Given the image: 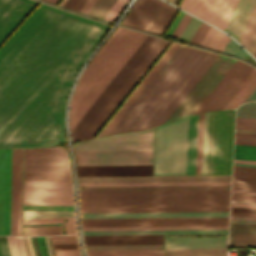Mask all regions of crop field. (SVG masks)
I'll return each instance as SVG.
<instances>
[{
  "label": "crop field",
  "mask_w": 256,
  "mask_h": 256,
  "mask_svg": "<svg viewBox=\"0 0 256 256\" xmlns=\"http://www.w3.org/2000/svg\"><path fill=\"white\" fill-rule=\"evenodd\" d=\"M108 24L40 3L0 47V148L65 141L64 105Z\"/></svg>",
  "instance_id": "obj_1"
},
{
  "label": "crop field",
  "mask_w": 256,
  "mask_h": 256,
  "mask_svg": "<svg viewBox=\"0 0 256 256\" xmlns=\"http://www.w3.org/2000/svg\"><path fill=\"white\" fill-rule=\"evenodd\" d=\"M217 56L181 45L110 134L163 124Z\"/></svg>",
  "instance_id": "obj_2"
},
{
  "label": "crop field",
  "mask_w": 256,
  "mask_h": 256,
  "mask_svg": "<svg viewBox=\"0 0 256 256\" xmlns=\"http://www.w3.org/2000/svg\"><path fill=\"white\" fill-rule=\"evenodd\" d=\"M146 36L132 30L116 28L85 68L75 86L69 114L71 130Z\"/></svg>",
  "instance_id": "obj_3"
},
{
  "label": "crop field",
  "mask_w": 256,
  "mask_h": 256,
  "mask_svg": "<svg viewBox=\"0 0 256 256\" xmlns=\"http://www.w3.org/2000/svg\"><path fill=\"white\" fill-rule=\"evenodd\" d=\"M168 43L158 37L147 36L73 128L71 131L72 141L94 137Z\"/></svg>",
  "instance_id": "obj_4"
},
{
  "label": "crop field",
  "mask_w": 256,
  "mask_h": 256,
  "mask_svg": "<svg viewBox=\"0 0 256 256\" xmlns=\"http://www.w3.org/2000/svg\"><path fill=\"white\" fill-rule=\"evenodd\" d=\"M81 208L229 206L230 190L79 192Z\"/></svg>",
  "instance_id": "obj_5"
},
{
  "label": "crop field",
  "mask_w": 256,
  "mask_h": 256,
  "mask_svg": "<svg viewBox=\"0 0 256 256\" xmlns=\"http://www.w3.org/2000/svg\"><path fill=\"white\" fill-rule=\"evenodd\" d=\"M188 118L157 127L154 174H184Z\"/></svg>",
  "instance_id": "obj_6"
},
{
  "label": "crop field",
  "mask_w": 256,
  "mask_h": 256,
  "mask_svg": "<svg viewBox=\"0 0 256 256\" xmlns=\"http://www.w3.org/2000/svg\"><path fill=\"white\" fill-rule=\"evenodd\" d=\"M234 109L210 113L206 174H231Z\"/></svg>",
  "instance_id": "obj_7"
},
{
  "label": "crop field",
  "mask_w": 256,
  "mask_h": 256,
  "mask_svg": "<svg viewBox=\"0 0 256 256\" xmlns=\"http://www.w3.org/2000/svg\"><path fill=\"white\" fill-rule=\"evenodd\" d=\"M176 12L159 0H136L121 25L162 35Z\"/></svg>",
  "instance_id": "obj_8"
},
{
  "label": "crop field",
  "mask_w": 256,
  "mask_h": 256,
  "mask_svg": "<svg viewBox=\"0 0 256 256\" xmlns=\"http://www.w3.org/2000/svg\"><path fill=\"white\" fill-rule=\"evenodd\" d=\"M234 61L219 55L165 123L192 115Z\"/></svg>",
  "instance_id": "obj_9"
},
{
  "label": "crop field",
  "mask_w": 256,
  "mask_h": 256,
  "mask_svg": "<svg viewBox=\"0 0 256 256\" xmlns=\"http://www.w3.org/2000/svg\"><path fill=\"white\" fill-rule=\"evenodd\" d=\"M23 205H73L71 182L24 181Z\"/></svg>",
  "instance_id": "obj_10"
},
{
  "label": "crop field",
  "mask_w": 256,
  "mask_h": 256,
  "mask_svg": "<svg viewBox=\"0 0 256 256\" xmlns=\"http://www.w3.org/2000/svg\"><path fill=\"white\" fill-rule=\"evenodd\" d=\"M253 69L236 60L194 114L222 109Z\"/></svg>",
  "instance_id": "obj_11"
},
{
  "label": "crop field",
  "mask_w": 256,
  "mask_h": 256,
  "mask_svg": "<svg viewBox=\"0 0 256 256\" xmlns=\"http://www.w3.org/2000/svg\"><path fill=\"white\" fill-rule=\"evenodd\" d=\"M77 165H152L153 150L75 151Z\"/></svg>",
  "instance_id": "obj_12"
},
{
  "label": "crop field",
  "mask_w": 256,
  "mask_h": 256,
  "mask_svg": "<svg viewBox=\"0 0 256 256\" xmlns=\"http://www.w3.org/2000/svg\"><path fill=\"white\" fill-rule=\"evenodd\" d=\"M228 225V217L82 219V226Z\"/></svg>",
  "instance_id": "obj_13"
},
{
  "label": "crop field",
  "mask_w": 256,
  "mask_h": 256,
  "mask_svg": "<svg viewBox=\"0 0 256 256\" xmlns=\"http://www.w3.org/2000/svg\"><path fill=\"white\" fill-rule=\"evenodd\" d=\"M155 128L74 144L75 150L153 149Z\"/></svg>",
  "instance_id": "obj_14"
},
{
  "label": "crop field",
  "mask_w": 256,
  "mask_h": 256,
  "mask_svg": "<svg viewBox=\"0 0 256 256\" xmlns=\"http://www.w3.org/2000/svg\"><path fill=\"white\" fill-rule=\"evenodd\" d=\"M237 0H182L179 7L224 29Z\"/></svg>",
  "instance_id": "obj_15"
},
{
  "label": "crop field",
  "mask_w": 256,
  "mask_h": 256,
  "mask_svg": "<svg viewBox=\"0 0 256 256\" xmlns=\"http://www.w3.org/2000/svg\"><path fill=\"white\" fill-rule=\"evenodd\" d=\"M22 149H12L10 235H21Z\"/></svg>",
  "instance_id": "obj_16"
},
{
  "label": "crop field",
  "mask_w": 256,
  "mask_h": 256,
  "mask_svg": "<svg viewBox=\"0 0 256 256\" xmlns=\"http://www.w3.org/2000/svg\"><path fill=\"white\" fill-rule=\"evenodd\" d=\"M179 46L180 44L178 43L171 44V46L162 55V57L158 60V62L154 65V67L149 71V73L145 76V78L141 81V83L136 87V89L132 92V94L128 97V99L123 103V105L119 108V110L115 113V115L110 119V121L106 124V126L102 129V131L97 135V137H101L109 134V132L114 128V126L118 123V121L122 118V116L127 112V110L135 102V100L140 96V94L144 91V89L148 86V84L153 80V78L157 75V73L161 70V68L166 64V62L170 59V57L174 54V52L179 48Z\"/></svg>",
  "instance_id": "obj_17"
},
{
  "label": "crop field",
  "mask_w": 256,
  "mask_h": 256,
  "mask_svg": "<svg viewBox=\"0 0 256 256\" xmlns=\"http://www.w3.org/2000/svg\"><path fill=\"white\" fill-rule=\"evenodd\" d=\"M36 4L32 0H0V44Z\"/></svg>",
  "instance_id": "obj_18"
},
{
  "label": "crop field",
  "mask_w": 256,
  "mask_h": 256,
  "mask_svg": "<svg viewBox=\"0 0 256 256\" xmlns=\"http://www.w3.org/2000/svg\"><path fill=\"white\" fill-rule=\"evenodd\" d=\"M231 175L78 177V182L230 180Z\"/></svg>",
  "instance_id": "obj_19"
},
{
  "label": "crop field",
  "mask_w": 256,
  "mask_h": 256,
  "mask_svg": "<svg viewBox=\"0 0 256 256\" xmlns=\"http://www.w3.org/2000/svg\"><path fill=\"white\" fill-rule=\"evenodd\" d=\"M78 176L152 175V166H77Z\"/></svg>",
  "instance_id": "obj_20"
},
{
  "label": "crop field",
  "mask_w": 256,
  "mask_h": 256,
  "mask_svg": "<svg viewBox=\"0 0 256 256\" xmlns=\"http://www.w3.org/2000/svg\"><path fill=\"white\" fill-rule=\"evenodd\" d=\"M24 180L70 181L67 165H24Z\"/></svg>",
  "instance_id": "obj_21"
},
{
  "label": "crop field",
  "mask_w": 256,
  "mask_h": 256,
  "mask_svg": "<svg viewBox=\"0 0 256 256\" xmlns=\"http://www.w3.org/2000/svg\"><path fill=\"white\" fill-rule=\"evenodd\" d=\"M85 244L163 243V235L83 236Z\"/></svg>",
  "instance_id": "obj_22"
},
{
  "label": "crop field",
  "mask_w": 256,
  "mask_h": 256,
  "mask_svg": "<svg viewBox=\"0 0 256 256\" xmlns=\"http://www.w3.org/2000/svg\"><path fill=\"white\" fill-rule=\"evenodd\" d=\"M227 238L165 239V249L226 248Z\"/></svg>",
  "instance_id": "obj_23"
},
{
  "label": "crop field",
  "mask_w": 256,
  "mask_h": 256,
  "mask_svg": "<svg viewBox=\"0 0 256 256\" xmlns=\"http://www.w3.org/2000/svg\"><path fill=\"white\" fill-rule=\"evenodd\" d=\"M256 0H239L233 15L224 31L238 40Z\"/></svg>",
  "instance_id": "obj_24"
},
{
  "label": "crop field",
  "mask_w": 256,
  "mask_h": 256,
  "mask_svg": "<svg viewBox=\"0 0 256 256\" xmlns=\"http://www.w3.org/2000/svg\"><path fill=\"white\" fill-rule=\"evenodd\" d=\"M229 207L81 209V213L228 211Z\"/></svg>",
  "instance_id": "obj_25"
},
{
  "label": "crop field",
  "mask_w": 256,
  "mask_h": 256,
  "mask_svg": "<svg viewBox=\"0 0 256 256\" xmlns=\"http://www.w3.org/2000/svg\"><path fill=\"white\" fill-rule=\"evenodd\" d=\"M82 218L228 216V212L81 214Z\"/></svg>",
  "instance_id": "obj_26"
},
{
  "label": "crop field",
  "mask_w": 256,
  "mask_h": 256,
  "mask_svg": "<svg viewBox=\"0 0 256 256\" xmlns=\"http://www.w3.org/2000/svg\"><path fill=\"white\" fill-rule=\"evenodd\" d=\"M232 189L256 191V168L233 166Z\"/></svg>",
  "instance_id": "obj_27"
},
{
  "label": "crop field",
  "mask_w": 256,
  "mask_h": 256,
  "mask_svg": "<svg viewBox=\"0 0 256 256\" xmlns=\"http://www.w3.org/2000/svg\"><path fill=\"white\" fill-rule=\"evenodd\" d=\"M198 115L189 118L185 174H195Z\"/></svg>",
  "instance_id": "obj_28"
},
{
  "label": "crop field",
  "mask_w": 256,
  "mask_h": 256,
  "mask_svg": "<svg viewBox=\"0 0 256 256\" xmlns=\"http://www.w3.org/2000/svg\"><path fill=\"white\" fill-rule=\"evenodd\" d=\"M230 185V181L79 183V186Z\"/></svg>",
  "instance_id": "obj_29"
},
{
  "label": "crop field",
  "mask_w": 256,
  "mask_h": 256,
  "mask_svg": "<svg viewBox=\"0 0 256 256\" xmlns=\"http://www.w3.org/2000/svg\"><path fill=\"white\" fill-rule=\"evenodd\" d=\"M24 160L67 161L63 147L24 149Z\"/></svg>",
  "instance_id": "obj_30"
},
{
  "label": "crop field",
  "mask_w": 256,
  "mask_h": 256,
  "mask_svg": "<svg viewBox=\"0 0 256 256\" xmlns=\"http://www.w3.org/2000/svg\"><path fill=\"white\" fill-rule=\"evenodd\" d=\"M227 233V230L83 231V235Z\"/></svg>",
  "instance_id": "obj_31"
},
{
  "label": "crop field",
  "mask_w": 256,
  "mask_h": 256,
  "mask_svg": "<svg viewBox=\"0 0 256 256\" xmlns=\"http://www.w3.org/2000/svg\"><path fill=\"white\" fill-rule=\"evenodd\" d=\"M225 189V186L84 187V191Z\"/></svg>",
  "instance_id": "obj_32"
},
{
  "label": "crop field",
  "mask_w": 256,
  "mask_h": 256,
  "mask_svg": "<svg viewBox=\"0 0 256 256\" xmlns=\"http://www.w3.org/2000/svg\"><path fill=\"white\" fill-rule=\"evenodd\" d=\"M11 149H5L4 234L9 235Z\"/></svg>",
  "instance_id": "obj_33"
},
{
  "label": "crop field",
  "mask_w": 256,
  "mask_h": 256,
  "mask_svg": "<svg viewBox=\"0 0 256 256\" xmlns=\"http://www.w3.org/2000/svg\"><path fill=\"white\" fill-rule=\"evenodd\" d=\"M251 54L256 48V4L238 40Z\"/></svg>",
  "instance_id": "obj_34"
},
{
  "label": "crop field",
  "mask_w": 256,
  "mask_h": 256,
  "mask_svg": "<svg viewBox=\"0 0 256 256\" xmlns=\"http://www.w3.org/2000/svg\"><path fill=\"white\" fill-rule=\"evenodd\" d=\"M256 85V70L249 75V77L245 80V82L241 85V87L236 91V93L232 96V98L228 101V103L224 106L225 108H236L240 105L247 95L251 92V90Z\"/></svg>",
  "instance_id": "obj_35"
},
{
  "label": "crop field",
  "mask_w": 256,
  "mask_h": 256,
  "mask_svg": "<svg viewBox=\"0 0 256 256\" xmlns=\"http://www.w3.org/2000/svg\"><path fill=\"white\" fill-rule=\"evenodd\" d=\"M228 226L82 227L83 230L227 229Z\"/></svg>",
  "instance_id": "obj_36"
},
{
  "label": "crop field",
  "mask_w": 256,
  "mask_h": 256,
  "mask_svg": "<svg viewBox=\"0 0 256 256\" xmlns=\"http://www.w3.org/2000/svg\"><path fill=\"white\" fill-rule=\"evenodd\" d=\"M88 256H163L158 250L87 251Z\"/></svg>",
  "instance_id": "obj_37"
},
{
  "label": "crop field",
  "mask_w": 256,
  "mask_h": 256,
  "mask_svg": "<svg viewBox=\"0 0 256 256\" xmlns=\"http://www.w3.org/2000/svg\"><path fill=\"white\" fill-rule=\"evenodd\" d=\"M229 39L225 34L210 27L200 45L222 51Z\"/></svg>",
  "instance_id": "obj_38"
},
{
  "label": "crop field",
  "mask_w": 256,
  "mask_h": 256,
  "mask_svg": "<svg viewBox=\"0 0 256 256\" xmlns=\"http://www.w3.org/2000/svg\"><path fill=\"white\" fill-rule=\"evenodd\" d=\"M165 256H226V249L165 250Z\"/></svg>",
  "instance_id": "obj_39"
},
{
  "label": "crop field",
  "mask_w": 256,
  "mask_h": 256,
  "mask_svg": "<svg viewBox=\"0 0 256 256\" xmlns=\"http://www.w3.org/2000/svg\"><path fill=\"white\" fill-rule=\"evenodd\" d=\"M87 250L163 249L161 245H85Z\"/></svg>",
  "instance_id": "obj_40"
},
{
  "label": "crop field",
  "mask_w": 256,
  "mask_h": 256,
  "mask_svg": "<svg viewBox=\"0 0 256 256\" xmlns=\"http://www.w3.org/2000/svg\"><path fill=\"white\" fill-rule=\"evenodd\" d=\"M61 234V226L23 228V236Z\"/></svg>",
  "instance_id": "obj_41"
},
{
  "label": "crop field",
  "mask_w": 256,
  "mask_h": 256,
  "mask_svg": "<svg viewBox=\"0 0 256 256\" xmlns=\"http://www.w3.org/2000/svg\"><path fill=\"white\" fill-rule=\"evenodd\" d=\"M116 0H97L91 10L88 12L89 15L104 18L110 8L113 6Z\"/></svg>",
  "instance_id": "obj_42"
},
{
  "label": "crop field",
  "mask_w": 256,
  "mask_h": 256,
  "mask_svg": "<svg viewBox=\"0 0 256 256\" xmlns=\"http://www.w3.org/2000/svg\"><path fill=\"white\" fill-rule=\"evenodd\" d=\"M234 159L256 161V146L235 145Z\"/></svg>",
  "instance_id": "obj_43"
},
{
  "label": "crop field",
  "mask_w": 256,
  "mask_h": 256,
  "mask_svg": "<svg viewBox=\"0 0 256 256\" xmlns=\"http://www.w3.org/2000/svg\"><path fill=\"white\" fill-rule=\"evenodd\" d=\"M73 216V211H23V218Z\"/></svg>",
  "instance_id": "obj_44"
},
{
  "label": "crop field",
  "mask_w": 256,
  "mask_h": 256,
  "mask_svg": "<svg viewBox=\"0 0 256 256\" xmlns=\"http://www.w3.org/2000/svg\"><path fill=\"white\" fill-rule=\"evenodd\" d=\"M4 149H0V234H3Z\"/></svg>",
  "instance_id": "obj_45"
},
{
  "label": "crop field",
  "mask_w": 256,
  "mask_h": 256,
  "mask_svg": "<svg viewBox=\"0 0 256 256\" xmlns=\"http://www.w3.org/2000/svg\"><path fill=\"white\" fill-rule=\"evenodd\" d=\"M204 113L199 115L196 174H200Z\"/></svg>",
  "instance_id": "obj_46"
},
{
  "label": "crop field",
  "mask_w": 256,
  "mask_h": 256,
  "mask_svg": "<svg viewBox=\"0 0 256 256\" xmlns=\"http://www.w3.org/2000/svg\"><path fill=\"white\" fill-rule=\"evenodd\" d=\"M233 246H256V236L234 234Z\"/></svg>",
  "instance_id": "obj_47"
},
{
  "label": "crop field",
  "mask_w": 256,
  "mask_h": 256,
  "mask_svg": "<svg viewBox=\"0 0 256 256\" xmlns=\"http://www.w3.org/2000/svg\"><path fill=\"white\" fill-rule=\"evenodd\" d=\"M200 22L201 21H199V20H197V19L192 17V19L190 20V22L186 26L185 30L183 31V33L179 37V40H183V41L189 42V40L192 37V35L194 34L195 30L199 26Z\"/></svg>",
  "instance_id": "obj_48"
},
{
  "label": "crop field",
  "mask_w": 256,
  "mask_h": 256,
  "mask_svg": "<svg viewBox=\"0 0 256 256\" xmlns=\"http://www.w3.org/2000/svg\"><path fill=\"white\" fill-rule=\"evenodd\" d=\"M209 113H205L201 174H205Z\"/></svg>",
  "instance_id": "obj_49"
},
{
  "label": "crop field",
  "mask_w": 256,
  "mask_h": 256,
  "mask_svg": "<svg viewBox=\"0 0 256 256\" xmlns=\"http://www.w3.org/2000/svg\"><path fill=\"white\" fill-rule=\"evenodd\" d=\"M129 0H117L108 14L105 16L104 20L113 22L117 15L123 10V8L128 4ZM119 16V15H118Z\"/></svg>",
  "instance_id": "obj_50"
},
{
  "label": "crop field",
  "mask_w": 256,
  "mask_h": 256,
  "mask_svg": "<svg viewBox=\"0 0 256 256\" xmlns=\"http://www.w3.org/2000/svg\"><path fill=\"white\" fill-rule=\"evenodd\" d=\"M236 116L256 118V103L242 104L237 108Z\"/></svg>",
  "instance_id": "obj_51"
},
{
  "label": "crop field",
  "mask_w": 256,
  "mask_h": 256,
  "mask_svg": "<svg viewBox=\"0 0 256 256\" xmlns=\"http://www.w3.org/2000/svg\"><path fill=\"white\" fill-rule=\"evenodd\" d=\"M230 232L256 234V225L230 223Z\"/></svg>",
  "instance_id": "obj_52"
},
{
  "label": "crop field",
  "mask_w": 256,
  "mask_h": 256,
  "mask_svg": "<svg viewBox=\"0 0 256 256\" xmlns=\"http://www.w3.org/2000/svg\"><path fill=\"white\" fill-rule=\"evenodd\" d=\"M224 52L236 55L242 59L247 55L234 41L230 39L228 44L223 49Z\"/></svg>",
  "instance_id": "obj_53"
},
{
  "label": "crop field",
  "mask_w": 256,
  "mask_h": 256,
  "mask_svg": "<svg viewBox=\"0 0 256 256\" xmlns=\"http://www.w3.org/2000/svg\"><path fill=\"white\" fill-rule=\"evenodd\" d=\"M236 128L256 129V119L236 117Z\"/></svg>",
  "instance_id": "obj_54"
},
{
  "label": "crop field",
  "mask_w": 256,
  "mask_h": 256,
  "mask_svg": "<svg viewBox=\"0 0 256 256\" xmlns=\"http://www.w3.org/2000/svg\"><path fill=\"white\" fill-rule=\"evenodd\" d=\"M190 19H191V16L184 13L183 17L181 18L178 25L176 26L173 33L171 34V37L178 39V37L180 36V34L184 30L185 26L187 25Z\"/></svg>",
  "instance_id": "obj_55"
},
{
  "label": "crop field",
  "mask_w": 256,
  "mask_h": 256,
  "mask_svg": "<svg viewBox=\"0 0 256 256\" xmlns=\"http://www.w3.org/2000/svg\"><path fill=\"white\" fill-rule=\"evenodd\" d=\"M210 26L206 25L205 23L201 22L200 26L196 30L195 34L191 38L190 42L191 43H196L199 44L207 30L209 29Z\"/></svg>",
  "instance_id": "obj_56"
},
{
  "label": "crop field",
  "mask_w": 256,
  "mask_h": 256,
  "mask_svg": "<svg viewBox=\"0 0 256 256\" xmlns=\"http://www.w3.org/2000/svg\"><path fill=\"white\" fill-rule=\"evenodd\" d=\"M63 218L23 219V224L62 223Z\"/></svg>",
  "instance_id": "obj_57"
},
{
  "label": "crop field",
  "mask_w": 256,
  "mask_h": 256,
  "mask_svg": "<svg viewBox=\"0 0 256 256\" xmlns=\"http://www.w3.org/2000/svg\"><path fill=\"white\" fill-rule=\"evenodd\" d=\"M85 1L86 0H66L63 7L79 11Z\"/></svg>",
  "instance_id": "obj_58"
},
{
  "label": "crop field",
  "mask_w": 256,
  "mask_h": 256,
  "mask_svg": "<svg viewBox=\"0 0 256 256\" xmlns=\"http://www.w3.org/2000/svg\"><path fill=\"white\" fill-rule=\"evenodd\" d=\"M55 256H80L78 249L53 250Z\"/></svg>",
  "instance_id": "obj_59"
},
{
  "label": "crop field",
  "mask_w": 256,
  "mask_h": 256,
  "mask_svg": "<svg viewBox=\"0 0 256 256\" xmlns=\"http://www.w3.org/2000/svg\"><path fill=\"white\" fill-rule=\"evenodd\" d=\"M51 244L77 243L76 237L50 238Z\"/></svg>",
  "instance_id": "obj_60"
},
{
  "label": "crop field",
  "mask_w": 256,
  "mask_h": 256,
  "mask_svg": "<svg viewBox=\"0 0 256 256\" xmlns=\"http://www.w3.org/2000/svg\"><path fill=\"white\" fill-rule=\"evenodd\" d=\"M235 141L256 142V135L237 134L235 133Z\"/></svg>",
  "instance_id": "obj_61"
},
{
  "label": "crop field",
  "mask_w": 256,
  "mask_h": 256,
  "mask_svg": "<svg viewBox=\"0 0 256 256\" xmlns=\"http://www.w3.org/2000/svg\"><path fill=\"white\" fill-rule=\"evenodd\" d=\"M65 219H68V221L65 222V225H64L65 233L66 234H75L73 217H69V218H65Z\"/></svg>",
  "instance_id": "obj_62"
},
{
  "label": "crop field",
  "mask_w": 256,
  "mask_h": 256,
  "mask_svg": "<svg viewBox=\"0 0 256 256\" xmlns=\"http://www.w3.org/2000/svg\"><path fill=\"white\" fill-rule=\"evenodd\" d=\"M231 199L256 201V195L232 193Z\"/></svg>",
  "instance_id": "obj_63"
},
{
  "label": "crop field",
  "mask_w": 256,
  "mask_h": 256,
  "mask_svg": "<svg viewBox=\"0 0 256 256\" xmlns=\"http://www.w3.org/2000/svg\"><path fill=\"white\" fill-rule=\"evenodd\" d=\"M14 238H15V242H16V246H17L19 256H26L24 246H23V243H22V239L17 238V237H14Z\"/></svg>",
  "instance_id": "obj_64"
},
{
  "label": "crop field",
  "mask_w": 256,
  "mask_h": 256,
  "mask_svg": "<svg viewBox=\"0 0 256 256\" xmlns=\"http://www.w3.org/2000/svg\"><path fill=\"white\" fill-rule=\"evenodd\" d=\"M6 237H7L11 256H18L13 237H9V236H6Z\"/></svg>",
  "instance_id": "obj_65"
},
{
  "label": "crop field",
  "mask_w": 256,
  "mask_h": 256,
  "mask_svg": "<svg viewBox=\"0 0 256 256\" xmlns=\"http://www.w3.org/2000/svg\"><path fill=\"white\" fill-rule=\"evenodd\" d=\"M231 212L256 214V209L231 207Z\"/></svg>",
  "instance_id": "obj_66"
},
{
  "label": "crop field",
  "mask_w": 256,
  "mask_h": 256,
  "mask_svg": "<svg viewBox=\"0 0 256 256\" xmlns=\"http://www.w3.org/2000/svg\"><path fill=\"white\" fill-rule=\"evenodd\" d=\"M95 2L96 0H87L83 7L80 9V11L87 13Z\"/></svg>",
  "instance_id": "obj_67"
},
{
  "label": "crop field",
  "mask_w": 256,
  "mask_h": 256,
  "mask_svg": "<svg viewBox=\"0 0 256 256\" xmlns=\"http://www.w3.org/2000/svg\"><path fill=\"white\" fill-rule=\"evenodd\" d=\"M24 164H68L67 162L24 161Z\"/></svg>",
  "instance_id": "obj_68"
},
{
  "label": "crop field",
  "mask_w": 256,
  "mask_h": 256,
  "mask_svg": "<svg viewBox=\"0 0 256 256\" xmlns=\"http://www.w3.org/2000/svg\"><path fill=\"white\" fill-rule=\"evenodd\" d=\"M53 249L78 248L77 244L52 245Z\"/></svg>",
  "instance_id": "obj_69"
},
{
  "label": "crop field",
  "mask_w": 256,
  "mask_h": 256,
  "mask_svg": "<svg viewBox=\"0 0 256 256\" xmlns=\"http://www.w3.org/2000/svg\"><path fill=\"white\" fill-rule=\"evenodd\" d=\"M2 237L0 236V248H1L2 256H6L7 250H6V253H5L6 246H5V249H4L5 242H4V245H3L4 238H3V241H2ZM5 241H6V238H5ZM6 245H7V242H6ZM7 249H8V246H7ZM8 253H9V250H8ZM0 256H1V253H0ZM7 256H8V254H7ZM9 256H10V254H9Z\"/></svg>",
  "instance_id": "obj_70"
},
{
  "label": "crop field",
  "mask_w": 256,
  "mask_h": 256,
  "mask_svg": "<svg viewBox=\"0 0 256 256\" xmlns=\"http://www.w3.org/2000/svg\"><path fill=\"white\" fill-rule=\"evenodd\" d=\"M252 100H256V87L252 90V92L249 94V96L245 99L244 102Z\"/></svg>",
  "instance_id": "obj_71"
},
{
  "label": "crop field",
  "mask_w": 256,
  "mask_h": 256,
  "mask_svg": "<svg viewBox=\"0 0 256 256\" xmlns=\"http://www.w3.org/2000/svg\"><path fill=\"white\" fill-rule=\"evenodd\" d=\"M230 219L256 221V218H252V217L231 216Z\"/></svg>",
  "instance_id": "obj_72"
},
{
  "label": "crop field",
  "mask_w": 256,
  "mask_h": 256,
  "mask_svg": "<svg viewBox=\"0 0 256 256\" xmlns=\"http://www.w3.org/2000/svg\"><path fill=\"white\" fill-rule=\"evenodd\" d=\"M231 206L256 208V205H252V204L231 203Z\"/></svg>",
  "instance_id": "obj_73"
},
{
  "label": "crop field",
  "mask_w": 256,
  "mask_h": 256,
  "mask_svg": "<svg viewBox=\"0 0 256 256\" xmlns=\"http://www.w3.org/2000/svg\"><path fill=\"white\" fill-rule=\"evenodd\" d=\"M234 163H241V164H256L255 161H241V160H234Z\"/></svg>",
  "instance_id": "obj_74"
},
{
  "label": "crop field",
  "mask_w": 256,
  "mask_h": 256,
  "mask_svg": "<svg viewBox=\"0 0 256 256\" xmlns=\"http://www.w3.org/2000/svg\"><path fill=\"white\" fill-rule=\"evenodd\" d=\"M235 132H241V133H255L256 134V131L255 130H242V129H236Z\"/></svg>",
  "instance_id": "obj_75"
},
{
  "label": "crop field",
  "mask_w": 256,
  "mask_h": 256,
  "mask_svg": "<svg viewBox=\"0 0 256 256\" xmlns=\"http://www.w3.org/2000/svg\"><path fill=\"white\" fill-rule=\"evenodd\" d=\"M232 192L256 194V192H253V191H239V190H232Z\"/></svg>",
  "instance_id": "obj_76"
},
{
  "label": "crop field",
  "mask_w": 256,
  "mask_h": 256,
  "mask_svg": "<svg viewBox=\"0 0 256 256\" xmlns=\"http://www.w3.org/2000/svg\"><path fill=\"white\" fill-rule=\"evenodd\" d=\"M230 222H237V223H251V224H256V222H249V221H236V220H230Z\"/></svg>",
  "instance_id": "obj_77"
},
{
  "label": "crop field",
  "mask_w": 256,
  "mask_h": 256,
  "mask_svg": "<svg viewBox=\"0 0 256 256\" xmlns=\"http://www.w3.org/2000/svg\"><path fill=\"white\" fill-rule=\"evenodd\" d=\"M231 202H238V203H253V204H256V202H252V201H238V200H231Z\"/></svg>",
  "instance_id": "obj_78"
},
{
  "label": "crop field",
  "mask_w": 256,
  "mask_h": 256,
  "mask_svg": "<svg viewBox=\"0 0 256 256\" xmlns=\"http://www.w3.org/2000/svg\"><path fill=\"white\" fill-rule=\"evenodd\" d=\"M231 215H232V213H231ZM233 215L256 217V215H252V214H238V213H233Z\"/></svg>",
  "instance_id": "obj_79"
},
{
  "label": "crop field",
  "mask_w": 256,
  "mask_h": 256,
  "mask_svg": "<svg viewBox=\"0 0 256 256\" xmlns=\"http://www.w3.org/2000/svg\"><path fill=\"white\" fill-rule=\"evenodd\" d=\"M235 144H242V145H256V143H242V142H235Z\"/></svg>",
  "instance_id": "obj_80"
},
{
  "label": "crop field",
  "mask_w": 256,
  "mask_h": 256,
  "mask_svg": "<svg viewBox=\"0 0 256 256\" xmlns=\"http://www.w3.org/2000/svg\"><path fill=\"white\" fill-rule=\"evenodd\" d=\"M27 238H28V242H29V246H30V249H31L32 256H34L33 251H32V247H31V243H30V239H29V237H27Z\"/></svg>",
  "instance_id": "obj_81"
},
{
  "label": "crop field",
  "mask_w": 256,
  "mask_h": 256,
  "mask_svg": "<svg viewBox=\"0 0 256 256\" xmlns=\"http://www.w3.org/2000/svg\"><path fill=\"white\" fill-rule=\"evenodd\" d=\"M46 1H49V2H52V3L57 4V2H58L59 0H46Z\"/></svg>",
  "instance_id": "obj_82"
},
{
  "label": "crop field",
  "mask_w": 256,
  "mask_h": 256,
  "mask_svg": "<svg viewBox=\"0 0 256 256\" xmlns=\"http://www.w3.org/2000/svg\"><path fill=\"white\" fill-rule=\"evenodd\" d=\"M168 1H170V2H172L174 4H177V2H178V0H168Z\"/></svg>",
  "instance_id": "obj_83"
},
{
  "label": "crop field",
  "mask_w": 256,
  "mask_h": 256,
  "mask_svg": "<svg viewBox=\"0 0 256 256\" xmlns=\"http://www.w3.org/2000/svg\"><path fill=\"white\" fill-rule=\"evenodd\" d=\"M234 165H240V166H255V165H241V164H234ZM256 167V166H255Z\"/></svg>",
  "instance_id": "obj_84"
},
{
  "label": "crop field",
  "mask_w": 256,
  "mask_h": 256,
  "mask_svg": "<svg viewBox=\"0 0 256 256\" xmlns=\"http://www.w3.org/2000/svg\"><path fill=\"white\" fill-rule=\"evenodd\" d=\"M253 56L256 58V50H255V52H254Z\"/></svg>",
  "instance_id": "obj_85"
},
{
  "label": "crop field",
  "mask_w": 256,
  "mask_h": 256,
  "mask_svg": "<svg viewBox=\"0 0 256 256\" xmlns=\"http://www.w3.org/2000/svg\"><path fill=\"white\" fill-rule=\"evenodd\" d=\"M63 237V236H62Z\"/></svg>",
  "instance_id": "obj_86"
}]
</instances>
